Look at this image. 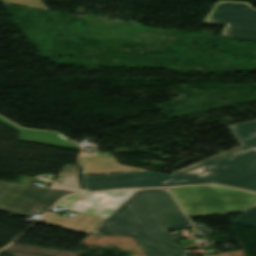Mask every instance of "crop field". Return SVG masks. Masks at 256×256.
I'll return each instance as SVG.
<instances>
[{
  "instance_id": "obj_4",
  "label": "crop field",
  "mask_w": 256,
  "mask_h": 256,
  "mask_svg": "<svg viewBox=\"0 0 256 256\" xmlns=\"http://www.w3.org/2000/svg\"><path fill=\"white\" fill-rule=\"evenodd\" d=\"M77 192L32 188L0 181V211L32 218L42 215L60 197Z\"/></svg>"
},
{
  "instance_id": "obj_3",
  "label": "crop field",
  "mask_w": 256,
  "mask_h": 256,
  "mask_svg": "<svg viewBox=\"0 0 256 256\" xmlns=\"http://www.w3.org/2000/svg\"><path fill=\"white\" fill-rule=\"evenodd\" d=\"M188 216L243 212L256 203V194L220 186L169 189Z\"/></svg>"
},
{
  "instance_id": "obj_7",
  "label": "crop field",
  "mask_w": 256,
  "mask_h": 256,
  "mask_svg": "<svg viewBox=\"0 0 256 256\" xmlns=\"http://www.w3.org/2000/svg\"><path fill=\"white\" fill-rule=\"evenodd\" d=\"M103 220V218H97L80 214H77L73 219H70L56 216L55 213H48L41 221L44 222L45 224L55 225L65 229L89 234Z\"/></svg>"
},
{
  "instance_id": "obj_9",
  "label": "crop field",
  "mask_w": 256,
  "mask_h": 256,
  "mask_svg": "<svg viewBox=\"0 0 256 256\" xmlns=\"http://www.w3.org/2000/svg\"><path fill=\"white\" fill-rule=\"evenodd\" d=\"M58 177L62 178L63 184L81 189L78 166L65 165Z\"/></svg>"
},
{
  "instance_id": "obj_8",
  "label": "crop field",
  "mask_w": 256,
  "mask_h": 256,
  "mask_svg": "<svg viewBox=\"0 0 256 256\" xmlns=\"http://www.w3.org/2000/svg\"><path fill=\"white\" fill-rule=\"evenodd\" d=\"M0 122L18 130L21 132L19 139L37 142L42 144L60 146L70 149L81 150L82 147L74 144L73 142L67 140L63 136L59 135L58 133H50V132H40V131H32V130H21L18 126L0 118Z\"/></svg>"
},
{
  "instance_id": "obj_5",
  "label": "crop field",
  "mask_w": 256,
  "mask_h": 256,
  "mask_svg": "<svg viewBox=\"0 0 256 256\" xmlns=\"http://www.w3.org/2000/svg\"><path fill=\"white\" fill-rule=\"evenodd\" d=\"M204 23L227 25L223 37L256 41V9L250 3L217 1Z\"/></svg>"
},
{
  "instance_id": "obj_1",
  "label": "crop field",
  "mask_w": 256,
  "mask_h": 256,
  "mask_svg": "<svg viewBox=\"0 0 256 256\" xmlns=\"http://www.w3.org/2000/svg\"><path fill=\"white\" fill-rule=\"evenodd\" d=\"M229 128L242 147L173 175L146 171L83 177L85 191L203 183L256 191V121L230 125Z\"/></svg>"
},
{
  "instance_id": "obj_12",
  "label": "crop field",
  "mask_w": 256,
  "mask_h": 256,
  "mask_svg": "<svg viewBox=\"0 0 256 256\" xmlns=\"http://www.w3.org/2000/svg\"><path fill=\"white\" fill-rule=\"evenodd\" d=\"M49 188L82 192L80 190H77V189H74V188H70V187H67V186H63V185H59V184H55V183H52Z\"/></svg>"
},
{
  "instance_id": "obj_6",
  "label": "crop field",
  "mask_w": 256,
  "mask_h": 256,
  "mask_svg": "<svg viewBox=\"0 0 256 256\" xmlns=\"http://www.w3.org/2000/svg\"><path fill=\"white\" fill-rule=\"evenodd\" d=\"M134 190L84 194L68 210L107 218L112 211Z\"/></svg>"
},
{
  "instance_id": "obj_11",
  "label": "crop field",
  "mask_w": 256,
  "mask_h": 256,
  "mask_svg": "<svg viewBox=\"0 0 256 256\" xmlns=\"http://www.w3.org/2000/svg\"><path fill=\"white\" fill-rule=\"evenodd\" d=\"M80 195L69 196L66 199L60 201L56 206L68 208Z\"/></svg>"
},
{
  "instance_id": "obj_2",
  "label": "crop field",
  "mask_w": 256,
  "mask_h": 256,
  "mask_svg": "<svg viewBox=\"0 0 256 256\" xmlns=\"http://www.w3.org/2000/svg\"><path fill=\"white\" fill-rule=\"evenodd\" d=\"M193 227L166 189L135 190L92 233L134 236L150 256H187L169 231Z\"/></svg>"
},
{
  "instance_id": "obj_10",
  "label": "crop field",
  "mask_w": 256,
  "mask_h": 256,
  "mask_svg": "<svg viewBox=\"0 0 256 256\" xmlns=\"http://www.w3.org/2000/svg\"><path fill=\"white\" fill-rule=\"evenodd\" d=\"M232 222L256 227V204L247 209Z\"/></svg>"
}]
</instances>
